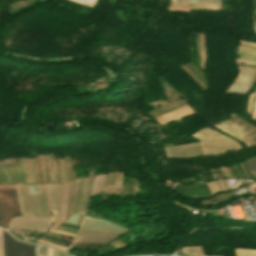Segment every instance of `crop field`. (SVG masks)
<instances>
[{"label": "crop field", "instance_id": "crop-field-1", "mask_svg": "<svg viewBox=\"0 0 256 256\" xmlns=\"http://www.w3.org/2000/svg\"><path fill=\"white\" fill-rule=\"evenodd\" d=\"M204 130H206L207 132L211 133L212 135H214V136H216V137H218V138H220V139L226 141L227 143H229L230 145H232L233 147H235V148H237V149L242 148V147H239V145H238L236 142H234V141H232L231 139L226 138V137H224V136L218 134L217 132H215V131H213V130H211V129H209V128H205ZM204 130L201 129L200 131H198V133L201 134V135H203V136H205V137H207V138H209V139H211V140L214 141L216 144L222 146L223 148H225V149H227V150H229V151L237 150V149L231 147V146H230L229 144H227L226 142H224V141H222V140H220V139H218V138L212 136L211 134L207 133V132L204 131ZM199 134L196 133V134H194L193 136L196 137V138H198V139H200L201 141L207 143L208 145H210V146L216 148L217 150H219V151H221V152H223V153L228 152L227 150H225V149H223L222 147H220V146L216 145L215 143H213L211 140H209V139H207V138H205V137H203V136H201V135H199ZM198 139H197V140H198ZM200 140H198V141H200ZM201 141H200V142H201ZM203 142H201V143H202L203 146H204V149H205V151H206V155H212V154H219V153H221V152L215 150L214 148L208 146L207 144H205V143H203ZM201 143L191 144V145H184V146H178V147L169 146V147H165V149H166V152H167V153H170V152H178V151H185V150H190V149H195V148H201V147H202ZM199 150H203V148H201V149H195V150H190V151H185V152H192V151H199ZM205 151L192 152V153H185V154H177V155H170V156H167V158L169 159V158H175V157H191V156L205 155ZM179 153H184V152H179ZM171 154H176V153H171ZM167 155H169V154H167Z\"/></svg>", "mask_w": 256, "mask_h": 256}, {"label": "crop field", "instance_id": "crop-field-29", "mask_svg": "<svg viewBox=\"0 0 256 256\" xmlns=\"http://www.w3.org/2000/svg\"><path fill=\"white\" fill-rule=\"evenodd\" d=\"M105 191L113 193L114 187H106ZM121 191H122V187H116V189H115L116 194H121Z\"/></svg>", "mask_w": 256, "mask_h": 256}, {"label": "crop field", "instance_id": "crop-field-43", "mask_svg": "<svg viewBox=\"0 0 256 256\" xmlns=\"http://www.w3.org/2000/svg\"><path fill=\"white\" fill-rule=\"evenodd\" d=\"M51 157H52V164H53L54 182H57V181H56V174H55L54 159H53V156H52V155H51Z\"/></svg>", "mask_w": 256, "mask_h": 256}, {"label": "crop field", "instance_id": "crop-field-22", "mask_svg": "<svg viewBox=\"0 0 256 256\" xmlns=\"http://www.w3.org/2000/svg\"><path fill=\"white\" fill-rule=\"evenodd\" d=\"M181 250L202 252L201 247H190V248H184V249H181ZM186 251H182V252H184L186 254H189V255L202 256V253L186 252Z\"/></svg>", "mask_w": 256, "mask_h": 256}, {"label": "crop field", "instance_id": "crop-field-28", "mask_svg": "<svg viewBox=\"0 0 256 256\" xmlns=\"http://www.w3.org/2000/svg\"><path fill=\"white\" fill-rule=\"evenodd\" d=\"M59 162H60L61 181L65 182L63 159L59 160Z\"/></svg>", "mask_w": 256, "mask_h": 256}, {"label": "crop field", "instance_id": "crop-field-55", "mask_svg": "<svg viewBox=\"0 0 256 256\" xmlns=\"http://www.w3.org/2000/svg\"><path fill=\"white\" fill-rule=\"evenodd\" d=\"M51 254H52V250L49 249V251H48V256H51Z\"/></svg>", "mask_w": 256, "mask_h": 256}, {"label": "crop field", "instance_id": "crop-field-13", "mask_svg": "<svg viewBox=\"0 0 256 256\" xmlns=\"http://www.w3.org/2000/svg\"><path fill=\"white\" fill-rule=\"evenodd\" d=\"M19 164H20V167H15V168H16V170H17V173H18L20 182L22 183V182H25V178H24V171H23V167H22V164H21V160H20V159H19ZM15 168H12V169H13V171H14V173H15V175H16V178H17V180H18V182H19V179H18V176H17V173H16ZM4 169H5L6 173H7V176H8V178H9L10 182H11V183H14V182H15V183H18L17 180H16V178H15V175H14L12 169L9 168V169H10V173H11V175H12V177H13L14 182H13V180H12V178H11V175H10V173H9L8 168H4ZM20 182H19V183H20Z\"/></svg>", "mask_w": 256, "mask_h": 256}, {"label": "crop field", "instance_id": "crop-field-52", "mask_svg": "<svg viewBox=\"0 0 256 256\" xmlns=\"http://www.w3.org/2000/svg\"><path fill=\"white\" fill-rule=\"evenodd\" d=\"M66 182H68V171H65Z\"/></svg>", "mask_w": 256, "mask_h": 256}, {"label": "crop field", "instance_id": "crop-field-41", "mask_svg": "<svg viewBox=\"0 0 256 256\" xmlns=\"http://www.w3.org/2000/svg\"><path fill=\"white\" fill-rule=\"evenodd\" d=\"M113 249H114L113 247L107 245V246L103 247L102 249H100V251L105 252V251H109V250H113Z\"/></svg>", "mask_w": 256, "mask_h": 256}, {"label": "crop field", "instance_id": "crop-field-30", "mask_svg": "<svg viewBox=\"0 0 256 256\" xmlns=\"http://www.w3.org/2000/svg\"><path fill=\"white\" fill-rule=\"evenodd\" d=\"M237 53H239V54H246V55H252V57L241 55V58H245V59H250V60L256 61V54L244 53V52H239V51H237Z\"/></svg>", "mask_w": 256, "mask_h": 256}, {"label": "crop field", "instance_id": "crop-field-45", "mask_svg": "<svg viewBox=\"0 0 256 256\" xmlns=\"http://www.w3.org/2000/svg\"><path fill=\"white\" fill-rule=\"evenodd\" d=\"M237 65L241 67H247V68H256V66H252V65H242V64H237Z\"/></svg>", "mask_w": 256, "mask_h": 256}, {"label": "crop field", "instance_id": "crop-field-48", "mask_svg": "<svg viewBox=\"0 0 256 256\" xmlns=\"http://www.w3.org/2000/svg\"><path fill=\"white\" fill-rule=\"evenodd\" d=\"M227 171L231 175V177H235L234 173L232 172L231 168H227Z\"/></svg>", "mask_w": 256, "mask_h": 256}, {"label": "crop field", "instance_id": "crop-field-58", "mask_svg": "<svg viewBox=\"0 0 256 256\" xmlns=\"http://www.w3.org/2000/svg\"><path fill=\"white\" fill-rule=\"evenodd\" d=\"M60 255H61V252H60ZM60 255H59V256H60ZM63 255H64V253L62 252V255H61V256H63ZM65 256H68V255H67V254H65Z\"/></svg>", "mask_w": 256, "mask_h": 256}, {"label": "crop field", "instance_id": "crop-field-11", "mask_svg": "<svg viewBox=\"0 0 256 256\" xmlns=\"http://www.w3.org/2000/svg\"><path fill=\"white\" fill-rule=\"evenodd\" d=\"M54 186L55 185H47L49 209H51V205H52V196H53ZM56 188H57V185H56ZM56 188H55V193H56ZM60 189H61V185H58L55 204H54V198H55V193H54V197H53L54 209H53V206H52L53 211H57V208H58ZM57 218H58V215H57Z\"/></svg>", "mask_w": 256, "mask_h": 256}, {"label": "crop field", "instance_id": "crop-field-50", "mask_svg": "<svg viewBox=\"0 0 256 256\" xmlns=\"http://www.w3.org/2000/svg\"><path fill=\"white\" fill-rule=\"evenodd\" d=\"M114 252H116V250L110 251V252H106V253H102V254H103V255H106V254H111V253H114Z\"/></svg>", "mask_w": 256, "mask_h": 256}, {"label": "crop field", "instance_id": "crop-field-38", "mask_svg": "<svg viewBox=\"0 0 256 256\" xmlns=\"http://www.w3.org/2000/svg\"><path fill=\"white\" fill-rule=\"evenodd\" d=\"M139 186H140V183H138V182L135 181L133 197H135V196L137 195V192H138V190H139Z\"/></svg>", "mask_w": 256, "mask_h": 256}, {"label": "crop field", "instance_id": "crop-field-34", "mask_svg": "<svg viewBox=\"0 0 256 256\" xmlns=\"http://www.w3.org/2000/svg\"><path fill=\"white\" fill-rule=\"evenodd\" d=\"M31 161H32V163H33V167H34V178H35V183H38L36 163H35V160H34V159H32Z\"/></svg>", "mask_w": 256, "mask_h": 256}, {"label": "crop field", "instance_id": "crop-field-2", "mask_svg": "<svg viewBox=\"0 0 256 256\" xmlns=\"http://www.w3.org/2000/svg\"><path fill=\"white\" fill-rule=\"evenodd\" d=\"M18 211V201L14 185L0 186V226L1 220L5 216Z\"/></svg>", "mask_w": 256, "mask_h": 256}, {"label": "crop field", "instance_id": "crop-field-24", "mask_svg": "<svg viewBox=\"0 0 256 256\" xmlns=\"http://www.w3.org/2000/svg\"><path fill=\"white\" fill-rule=\"evenodd\" d=\"M236 256H256V252L235 250Z\"/></svg>", "mask_w": 256, "mask_h": 256}, {"label": "crop field", "instance_id": "crop-field-19", "mask_svg": "<svg viewBox=\"0 0 256 256\" xmlns=\"http://www.w3.org/2000/svg\"><path fill=\"white\" fill-rule=\"evenodd\" d=\"M105 177H106V176H99L98 185H97L98 176H97V177H94L93 188H92V194L95 193L96 185H97L96 192H98V191H100V190L103 189V187H104V185H105ZM92 194H91V195H92Z\"/></svg>", "mask_w": 256, "mask_h": 256}, {"label": "crop field", "instance_id": "crop-field-35", "mask_svg": "<svg viewBox=\"0 0 256 256\" xmlns=\"http://www.w3.org/2000/svg\"><path fill=\"white\" fill-rule=\"evenodd\" d=\"M78 214H79V213H77V214H72V216H71L68 220H66V222L76 223Z\"/></svg>", "mask_w": 256, "mask_h": 256}, {"label": "crop field", "instance_id": "crop-field-33", "mask_svg": "<svg viewBox=\"0 0 256 256\" xmlns=\"http://www.w3.org/2000/svg\"><path fill=\"white\" fill-rule=\"evenodd\" d=\"M39 160H40V164H41V168H42L43 182H46L45 181V170H44V166H43V156H39Z\"/></svg>", "mask_w": 256, "mask_h": 256}, {"label": "crop field", "instance_id": "crop-field-31", "mask_svg": "<svg viewBox=\"0 0 256 256\" xmlns=\"http://www.w3.org/2000/svg\"><path fill=\"white\" fill-rule=\"evenodd\" d=\"M80 231L89 232V233L120 235L119 233L102 232V231H91V230H83V229H81Z\"/></svg>", "mask_w": 256, "mask_h": 256}, {"label": "crop field", "instance_id": "crop-field-25", "mask_svg": "<svg viewBox=\"0 0 256 256\" xmlns=\"http://www.w3.org/2000/svg\"><path fill=\"white\" fill-rule=\"evenodd\" d=\"M24 187H25V191H26V196H27V200H28V205H29L30 214H31V216L34 217V215H33V210H32L31 199H30V194H29V190H28V186H27V185H24Z\"/></svg>", "mask_w": 256, "mask_h": 256}, {"label": "crop field", "instance_id": "crop-field-53", "mask_svg": "<svg viewBox=\"0 0 256 256\" xmlns=\"http://www.w3.org/2000/svg\"><path fill=\"white\" fill-rule=\"evenodd\" d=\"M126 189H127V187H124V191H123V198H124V196H125ZM123 198H122V199H123Z\"/></svg>", "mask_w": 256, "mask_h": 256}, {"label": "crop field", "instance_id": "crop-field-9", "mask_svg": "<svg viewBox=\"0 0 256 256\" xmlns=\"http://www.w3.org/2000/svg\"><path fill=\"white\" fill-rule=\"evenodd\" d=\"M43 218H51L47 206L46 185H37Z\"/></svg>", "mask_w": 256, "mask_h": 256}, {"label": "crop field", "instance_id": "crop-field-17", "mask_svg": "<svg viewBox=\"0 0 256 256\" xmlns=\"http://www.w3.org/2000/svg\"><path fill=\"white\" fill-rule=\"evenodd\" d=\"M81 183H82V179L77 180L76 191H75V195H74V199H73V203H72V207H71L70 213L76 212L77 200H78V198L80 196V191H81Z\"/></svg>", "mask_w": 256, "mask_h": 256}, {"label": "crop field", "instance_id": "crop-field-39", "mask_svg": "<svg viewBox=\"0 0 256 256\" xmlns=\"http://www.w3.org/2000/svg\"><path fill=\"white\" fill-rule=\"evenodd\" d=\"M47 161H48L50 180H51V182H53V177H52V172H51V165H50V158H49V156H47Z\"/></svg>", "mask_w": 256, "mask_h": 256}, {"label": "crop field", "instance_id": "crop-field-37", "mask_svg": "<svg viewBox=\"0 0 256 256\" xmlns=\"http://www.w3.org/2000/svg\"><path fill=\"white\" fill-rule=\"evenodd\" d=\"M79 235H87V236H104V237H116V236H111V235H98V234H89V233H83L80 232Z\"/></svg>", "mask_w": 256, "mask_h": 256}, {"label": "crop field", "instance_id": "crop-field-5", "mask_svg": "<svg viewBox=\"0 0 256 256\" xmlns=\"http://www.w3.org/2000/svg\"><path fill=\"white\" fill-rule=\"evenodd\" d=\"M255 78V74L240 72L238 78L235 80V82L232 84L227 92L246 94V92L252 87Z\"/></svg>", "mask_w": 256, "mask_h": 256}, {"label": "crop field", "instance_id": "crop-field-16", "mask_svg": "<svg viewBox=\"0 0 256 256\" xmlns=\"http://www.w3.org/2000/svg\"><path fill=\"white\" fill-rule=\"evenodd\" d=\"M113 238L79 236L76 242H107Z\"/></svg>", "mask_w": 256, "mask_h": 256}, {"label": "crop field", "instance_id": "crop-field-20", "mask_svg": "<svg viewBox=\"0 0 256 256\" xmlns=\"http://www.w3.org/2000/svg\"><path fill=\"white\" fill-rule=\"evenodd\" d=\"M30 194H31V199L34 207L35 217L41 218L37 194L36 192H30Z\"/></svg>", "mask_w": 256, "mask_h": 256}, {"label": "crop field", "instance_id": "crop-field-47", "mask_svg": "<svg viewBox=\"0 0 256 256\" xmlns=\"http://www.w3.org/2000/svg\"><path fill=\"white\" fill-rule=\"evenodd\" d=\"M239 69L243 71H248V72H256V70H252V69H245V68H239Z\"/></svg>", "mask_w": 256, "mask_h": 256}, {"label": "crop field", "instance_id": "crop-field-23", "mask_svg": "<svg viewBox=\"0 0 256 256\" xmlns=\"http://www.w3.org/2000/svg\"><path fill=\"white\" fill-rule=\"evenodd\" d=\"M175 1L220 4V0H175Z\"/></svg>", "mask_w": 256, "mask_h": 256}, {"label": "crop field", "instance_id": "crop-field-26", "mask_svg": "<svg viewBox=\"0 0 256 256\" xmlns=\"http://www.w3.org/2000/svg\"><path fill=\"white\" fill-rule=\"evenodd\" d=\"M115 174L116 173H112L108 175L106 186H111L114 184Z\"/></svg>", "mask_w": 256, "mask_h": 256}, {"label": "crop field", "instance_id": "crop-field-8", "mask_svg": "<svg viewBox=\"0 0 256 256\" xmlns=\"http://www.w3.org/2000/svg\"><path fill=\"white\" fill-rule=\"evenodd\" d=\"M214 125L215 127H217L218 129L228 133V134H231L235 137H238L240 140H242L244 142L245 145L247 146H250V145H253V144H256V142H254L253 140L249 139L248 137L244 136L243 134L237 132L236 130L232 129L231 127L227 126L226 124L224 123H219L217 125L215 124H212Z\"/></svg>", "mask_w": 256, "mask_h": 256}, {"label": "crop field", "instance_id": "crop-field-59", "mask_svg": "<svg viewBox=\"0 0 256 256\" xmlns=\"http://www.w3.org/2000/svg\"><path fill=\"white\" fill-rule=\"evenodd\" d=\"M242 45H244V44H242ZM244 46H248V45H244ZM249 47H253V46H249ZM254 48H256V47H254Z\"/></svg>", "mask_w": 256, "mask_h": 256}, {"label": "crop field", "instance_id": "crop-field-3", "mask_svg": "<svg viewBox=\"0 0 256 256\" xmlns=\"http://www.w3.org/2000/svg\"><path fill=\"white\" fill-rule=\"evenodd\" d=\"M5 256H36L35 245L21 243L3 230Z\"/></svg>", "mask_w": 256, "mask_h": 256}, {"label": "crop field", "instance_id": "crop-field-36", "mask_svg": "<svg viewBox=\"0 0 256 256\" xmlns=\"http://www.w3.org/2000/svg\"><path fill=\"white\" fill-rule=\"evenodd\" d=\"M236 62H238V63H245V64H255L256 65V62L249 61V60H244V59H236Z\"/></svg>", "mask_w": 256, "mask_h": 256}, {"label": "crop field", "instance_id": "crop-field-56", "mask_svg": "<svg viewBox=\"0 0 256 256\" xmlns=\"http://www.w3.org/2000/svg\"><path fill=\"white\" fill-rule=\"evenodd\" d=\"M254 106H255V110H256V102H255ZM254 119H256V112H255V115H254Z\"/></svg>", "mask_w": 256, "mask_h": 256}, {"label": "crop field", "instance_id": "crop-field-54", "mask_svg": "<svg viewBox=\"0 0 256 256\" xmlns=\"http://www.w3.org/2000/svg\"><path fill=\"white\" fill-rule=\"evenodd\" d=\"M118 176H119V172H117V177H116L115 185H117Z\"/></svg>", "mask_w": 256, "mask_h": 256}, {"label": "crop field", "instance_id": "crop-field-12", "mask_svg": "<svg viewBox=\"0 0 256 256\" xmlns=\"http://www.w3.org/2000/svg\"><path fill=\"white\" fill-rule=\"evenodd\" d=\"M72 183L69 184H65L62 190V196H61V207H60V217L59 218H63V214H64V200H65V194H66V190H67V186H68V190H67V194H66V201H65V214H64V218L66 217V212H67V208H68V203H69V197H70V192H71V188H72Z\"/></svg>", "mask_w": 256, "mask_h": 256}, {"label": "crop field", "instance_id": "crop-field-6", "mask_svg": "<svg viewBox=\"0 0 256 256\" xmlns=\"http://www.w3.org/2000/svg\"><path fill=\"white\" fill-rule=\"evenodd\" d=\"M176 191L181 192L185 195H188L191 198L211 197L205 183L192 184V185H186V186H178Z\"/></svg>", "mask_w": 256, "mask_h": 256}, {"label": "crop field", "instance_id": "crop-field-40", "mask_svg": "<svg viewBox=\"0 0 256 256\" xmlns=\"http://www.w3.org/2000/svg\"><path fill=\"white\" fill-rule=\"evenodd\" d=\"M238 48L250 50V51H256V49H254V48H249V47H244V46H238ZM240 49H238V50H240ZM245 50H240V51H245ZM250 51H246V52H250ZM253 53H255V52H253Z\"/></svg>", "mask_w": 256, "mask_h": 256}, {"label": "crop field", "instance_id": "crop-field-44", "mask_svg": "<svg viewBox=\"0 0 256 256\" xmlns=\"http://www.w3.org/2000/svg\"><path fill=\"white\" fill-rule=\"evenodd\" d=\"M83 215L84 214H82V213L79 214V218H78L77 224H79V225L81 224Z\"/></svg>", "mask_w": 256, "mask_h": 256}, {"label": "crop field", "instance_id": "crop-field-7", "mask_svg": "<svg viewBox=\"0 0 256 256\" xmlns=\"http://www.w3.org/2000/svg\"><path fill=\"white\" fill-rule=\"evenodd\" d=\"M233 119L224 121L231 127L256 140V127L239 118L236 114L230 115Z\"/></svg>", "mask_w": 256, "mask_h": 256}, {"label": "crop field", "instance_id": "crop-field-42", "mask_svg": "<svg viewBox=\"0 0 256 256\" xmlns=\"http://www.w3.org/2000/svg\"><path fill=\"white\" fill-rule=\"evenodd\" d=\"M134 180L130 178V187L128 195H131Z\"/></svg>", "mask_w": 256, "mask_h": 256}, {"label": "crop field", "instance_id": "crop-field-27", "mask_svg": "<svg viewBox=\"0 0 256 256\" xmlns=\"http://www.w3.org/2000/svg\"><path fill=\"white\" fill-rule=\"evenodd\" d=\"M256 95V92L251 94L249 101H248V108H247V112L251 114V109H252V104H253V99L254 96Z\"/></svg>", "mask_w": 256, "mask_h": 256}, {"label": "crop field", "instance_id": "crop-field-49", "mask_svg": "<svg viewBox=\"0 0 256 256\" xmlns=\"http://www.w3.org/2000/svg\"><path fill=\"white\" fill-rule=\"evenodd\" d=\"M58 254H59V252H58V251L53 250V254H52V256H58Z\"/></svg>", "mask_w": 256, "mask_h": 256}, {"label": "crop field", "instance_id": "crop-field-32", "mask_svg": "<svg viewBox=\"0 0 256 256\" xmlns=\"http://www.w3.org/2000/svg\"><path fill=\"white\" fill-rule=\"evenodd\" d=\"M0 256H4V254H3V237H2V229H0Z\"/></svg>", "mask_w": 256, "mask_h": 256}, {"label": "crop field", "instance_id": "crop-field-46", "mask_svg": "<svg viewBox=\"0 0 256 256\" xmlns=\"http://www.w3.org/2000/svg\"><path fill=\"white\" fill-rule=\"evenodd\" d=\"M64 165H65V169H68V158L67 157L64 158Z\"/></svg>", "mask_w": 256, "mask_h": 256}, {"label": "crop field", "instance_id": "crop-field-57", "mask_svg": "<svg viewBox=\"0 0 256 256\" xmlns=\"http://www.w3.org/2000/svg\"><path fill=\"white\" fill-rule=\"evenodd\" d=\"M124 184L127 185L126 178L124 177Z\"/></svg>", "mask_w": 256, "mask_h": 256}, {"label": "crop field", "instance_id": "crop-field-10", "mask_svg": "<svg viewBox=\"0 0 256 256\" xmlns=\"http://www.w3.org/2000/svg\"><path fill=\"white\" fill-rule=\"evenodd\" d=\"M83 222L92 223V224H98V225H103V226H109V227H114V228H119V229H125V228H121V227H116V226H111V225H107V224L91 222V221H86V220H84ZM103 226H97V225H91V224L83 223L81 228H83V229H91V230H102V231L119 232V233H124V232H126L125 230H128V229L119 230V229L103 227Z\"/></svg>", "mask_w": 256, "mask_h": 256}, {"label": "crop field", "instance_id": "crop-field-14", "mask_svg": "<svg viewBox=\"0 0 256 256\" xmlns=\"http://www.w3.org/2000/svg\"><path fill=\"white\" fill-rule=\"evenodd\" d=\"M91 179H92V178H88L87 187H86V192H85V186H86L87 178L84 179V183H83V188H82L81 195H84V192H85V197H84V200H83V196H81V199H80V203H79V205H78L77 212H80L82 200H83V204H82L81 212L84 213V211H85V207H86V203H87V198H88V194H89V188H90Z\"/></svg>", "mask_w": 256, "mask_h": 256}, {"label": "crop field", "instance_id": "crop-field-51", "mask_svg": "<svg viewBox=\"0 0 256 256\" xmlns=\"http://www.w3.org/2000/svg\"><path fill=\"white\" fill-rule=\"evenodd\" d=\"M119 239H121L122 241H124L125 243H126V241L128 240V239H126L125 237H120Z\"/></svg>", "mask_w": 256, "mask_h": 256}, {"label": "crop field", "instance_id": "crop-field-18", "mask_svg": "<svg viewBox=\"0 0 256 256\" xmlns=\"http://www.w3.org/2000/svg\"><path fill=\"white\" fill-rule=\"evenodd\" d=\"M21 160H22L23 167H24V170H25V175H26L27 183H30L28 167H29V170H30L31 183H34V179H33V170H32V166H31L30 160H27V162H28V167H27V162H26V160H23V159H21Z\"/></svg>", "mask_w": 256, "mask_h": 256}, {"label": "crop field", "instance_id": "crop-field-4", "mask_svg": "<svg viewBox=\"0 0 256 256\" xmlns=\"http://www.w3.org/2000/svg\"><path fill=\"white\" fill-rule=\"evenodd\" d=\"M50 222L51 220H46V219L20 217V218L14 219L11 225L46 229L50 224ZM16 226H11V228L19 229V230H27V231L44 232V230L42 229H33V228L16 227Z\"/></svg>", "mask_w": 256, "mask_h": 256}, {"label": "crop field", "instance_id": "crop-field-21", "mask_svg": "<svg viewBox=\"0 0 256 256\" xmlns=\"http://www.w3.org/2000/svg\"><path fill=\"white\" fill-rule=\"evenodd\" d=\"M19 187H20V192H21V197H22L24 212H25V214H29V210H28V205H27V201H26V196H25L24 187H23V185H19ZM29 216H30V214H29Z\"/></svg>", "mask_w": 256, "mask_h": 256}, {"label": "crop field", "instance_id": "crop-field-15", "mask_svg": "<svg viewBox=\"0 0 256 256\" xmlns=\"http://www.w3.org/2000/svg\"><path fill=\"white\" fill-rule=\"evenodd\" d=\"M240 165H241V167L243 169V172H244L246 178L249 179V177L247 175V172H246V170H245L243 165H245L247 167L249 175L255 174V176H256V158L247 160L244 164H240Z\"/></svg>", "mask_w": 256, "mask_h": 256}]
</instances>
